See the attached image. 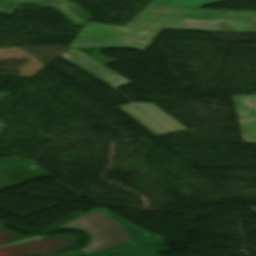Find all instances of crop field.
I'll list each match as a JSON object with an SVG mask.
<instances>
[{"mask_svg": "<svg viewBox=\"0 0 256 256\" xmlns=\"http://www.w3.org/2000/svg\"><path fill=\"white\" fill-rule=\"evenodd\" d=\"M176 10L146 7L125 27L87 22L69 48L142 49L155 36L151 33L158 32Z\"/></svg>", "mask_w": 256, "mask_h": 256, "instance_id": "obj_1", "label": "crop field"}, {"mask_svg": "<svg viewBox=\"0 0 256 256\" xmlns=\"http://www.w3.org/2000/svg\"><path fill=\"white\" fill-rule=\"evenodd\" d=\"M59 227H72L89 233L91 241L85 254L153 236L102 207L81 214Z\"/></svg>", "mask_w": 256, "mask_h": 256, "instance_id": "obj_2", "label": "crop field"}, {"mask_svg": "<svg viewBox=\"0 0 256 256\" xmlns=\"http://www.w3.org/2000/svg\"><path fill=\"white\" fill-rule=\"evenodd\" d=\"M256 12L179 9L163 28L254 32Z\"/></svg>", "mask_w": 256, "mask_h": 256, "instance_id": "obj_3", "label": "crop field"}, {"mask_svg": "<svg viewBox=\"0 0 256 256\" xmlns=\"http://www.w3.org/2000/svg\"><path fill=\"white\" fill-rule=\"evenodd\" d=\"M18 236L5 228L0 229V256H40L54 254L57 251L73 248L76 238L71 235L59 237Z\"/></svg>", "mask_w": 256, "mask_h": 256, "instance_id": "obj_4", "label": "crop field"}, {"mask_svg": "<svg viewBox=\"0 0 256 256\" xmlns=\"http://www.w3.org/2000/svg\"><path fill=\"white\" fill-rule=\"evenodd\" d=\"M118 107L155 135L186 130L152 104L130 103Z\"/></svg>", "mask_w": 256, "mask_h": 256, "instance_id": "obj_5", "label": "crop field"}, {"mask_svg": "<svg viewBox=\"0 0 256 256\" xmlns=\"http://www.w3.org/2000/svg\"><path fill=\"white\" fill-rule=\"evenodd\" d=\"M30 161L8 158L0 160V191L46 177Z\"/></svg>", "mask_w": 256, "mask_h": 256, "instance_id": "obj_6", "label": "crop field"}, {"mask_svg": "<svg viewBox=\"0 0 256 256\" xmlns=\"http://www.w3.org/2000/svg\"><path fill=\"white\" fill-rule=\"evenodd\" d=\"M60 57L109 85L110 87L116 89L118 87L124 86L131 83L127 79L123 78L119 74L100 64L99 62L93 60L87 55L81 53L76 49H69Z\"/></svg>", "mask_w": 256, "mask_h": 256, "instance_id": "obj_7", "label": "crop field"}, {"mask_svg": "<svg viewBox=\"0 0 256 256\" xmlns=\"http://www.w3.org/2000/svg\"><path fill=\"white\" fill-rule=\"evenodd\" d=\"M19 3L57 7L78 25L92 18L76 3L67 0H0V12L11 14Z\"/></svg>", "mask_w": 256, "mask_h": 256, "instance_id": "obj_8", "label": "crop field"}, {"mask_svg": "<svg viewBox=\"0 0 256 256\" xmlns=\"http://www.w3.org/2000/svg\"><path fill=\"white\" fill-rule=\"evenodd\" d=\"M163 239L157 236L128 245L89 254L87 256H160L157 252L170 250L162 248Z\"/></svg>", "mask_w": 256, "mask_h": 256, "instance_id": "obj_9", "label": "crop field"}, {"mask_svg": "<svg viewBox=\"0 0 256 256\" xmlns=\"http://www.w3.org/2000/svg\"><path fill=\"white\" fill-rule=\"evenodd\" d=\"M238 120L256 119V96L233 95Z\"/></svg>", "mask_w": 256, "mask_h": 256, "instance_id": "obj_10", "label": "crop field"}, {"mask_svg": "<svg viewBox=\"0 0 256 256\" xmlns=\"http://www.w3.org/2000/svg\"><path fill=\"white\" fill-rule=\"evenodd\" d=\"M224 0H152L148 6L198 8Z\"/></svg>", "mask_w": 256, "mask_h": 256, "instance_id": "obj_11", "label": "crop field"}, {"mask_svg": "<svg viewBox=\"0 0 256 256\" xmlns=\"http://www.w3.org/2000/svg\"><path fill=\"white\" fill-rule=\"evenodd\" d=\"M245 143H256V121L239 123Z\"/></svg>", "mask_w": 256, "mask_h": 256, "instance_id": "obj_12", "label": "crop field"}, {"mask_svg": "<svg viewBox=\"0 0 256 256\" xmlns=\"http://www.w3.org/2000/svg\"><path fill=\"white\" fill-rule=\"evenodd\" d=\"M79 249L73 250V251H68V252H63L59 254H54V255H49V256H77Z\"/></svg>", "mask_w": 256, "mask_h": 256, "instance_id": "obj_13", "label": "crop field"}, {"mask_svg": "<svg viewBox=\"0 0 256 256\" xmlns=\"http://www.w3.org/2000/svg\"><path fill=\"white\" fill-rule=\"evenodd\" d=\"M248 208H249V209H251L253 212H255V213H256V207L249 206Z\"/></svg>", "mask_w": 256, "mask_h": 256, "instance_id": "obj_14", "label": "crop field"}, {"mask_svg": "<svg viewBox=\"0 0 256 256\" xmlns=\"http://www.w3.org/2000/svg\"><path fill=\"white\" fill-rule=\"evenodd\" d=\"M3 226V225H0V227Z\"/></svg>", "mask_w": 256, "mask_h": 256, "instance_id": "obj_15", "label": "crop field"}]
</instances>
